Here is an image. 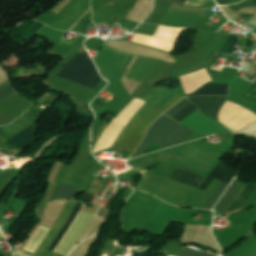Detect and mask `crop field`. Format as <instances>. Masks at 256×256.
I'll list each match as a JSON object with an SVG mask.
<instances>
[{"instance_id":"obj_16","label":"crop field","mask_w":256,"mask_h":256,"mask_svg":"<svg viewBox=\"0 0 256 256\" xmlns=\"http://www.w3.org/2000/svg\"><path fill=\"white\" fill-rule=\"evenodd\" d=\"M196 109L198 108L191 103L185 109H183L180 113H178L175 117H173V119L180 122L184 118H186L188 115H190L192 112H194Z\"/></svg>"},{"instance_id":"obj_14","label":"crop field","mask_w":256,"mask_h":256,"mask_svg":"<svg viewBox=\"0 0 256 256\" xmlns=\"http://www.w3.org/2000/svg\"><path fill=\"white\" fill-rule=\"evenodd\" d=\"M17 94L11 87L9 81L0 85V101Z\"/></svg>"},{"instance_id":"obj_8","label":"crop field","mask_w":256,"mask_h":256,"mask_svg":"<svg viewBox=\"0 0 256 256\" xmlns=\"http://www.w3.org/2000/svg\"><path fill=\"white\" fill-rule=\"evenodd\" d=\"M83 202H77L75 208L73 209L70 217L68 218L66 224L63 226V228L61 229V231L58 233V235L56 236V238L54 239V241L52 242V244L50 245V247L48 248V250L53 251L56 249V247L58 246V244L60 243L61 239L63 238V236L65 235V233L67 232V230L69 229V227L71 226V224L73 223L74 219L76 218V216L78 215V213L80 212V208L82 206Z\"/></svg>"},{"instance_id":"obj_20","label":"crop field","mask_w":256,"mask_h":256,"mask_svg":"<svg viewBox=\"0 0 256 256\" xmlns=\"http://www.w3.org/2000/svg\"><path fill=\"white\" fill-rule=\"evenodd\" d=\"M150 144V141H147L144 139V141L142 142V144L140 145L139 149L137 150V152L135 153L134 157L143 155V153L145 152L146 148L148 147V145Z\"/></svg>"},{"instance_id":"obj_15","label":"crop field","mask_w":256,"mask_h":256,"mask_svg":"<svg viewBox=\"0 0 256 256\" xmlns=\"http://www.w3.org/2000/svg\"><path fill=\"white\" fill-rule=\"evenodd\" d=\"M188 104H190V102L185 98L183 99L181 102H179L177 105H175L174 107H172L170 110H168L166 113V115H168L169 117H173L175 116L179 111H181L184 107H186Z\"/></svg>"},{"instance_id":"obj_23","label":"crop field","mask_w":256,"mask_h":256,"mask_svg":"<svg viewBox=\"0 0 256 256\" xmlns=\"http://www.w3.org/2000/svg\"><path fill=\"white\" fill-rule=\"evenodd\" d=\"M15 255L16 256H29V255H27V254H25L23 252H19V251H17Z\"/></svg>"},{"instance_id":"obj_5","label":"crop field","mask_w":256,"mask_h":256,"mask_svg":"<svg viewBox=\"0 0 256 256\" xmlns=\"http://www.w3.org/2000/svg\"><path fill=\"white\" fill-rule=\"evenodd\" d=\"M227 96H203L187 98L196 105L204 114L217 120V113Z\"/></svg>"},{"instance_id":"obj_19","label":"crop field","mask_w":256,"mask_h":256,"mask_svg":"<svg viewBox=\"0 0 256 256\" xmlns=\"http://www.w3.org/2000/svg\"><path fill=\"white\" fill-rule=\"evenodd\" d=\"M210 0H188L186 6L204 7L205 4Z\"/></svg>"},{"instance_id":"obj_7","label":"crop field","mask_w":256,"mask_h":256,"mask_svg":"<svg viewBox=\"0 0 256 256\" xmlns=\"http://www.w3.org/2000/svg\"><path fill=\"white\" fill-rule=\"evenodd\" d=\"M34 132H35V125L33 124L28 128H26L21 133H19L14 138L10 139L7 143L14 145L23 150L32 140Z\"/></svg>"},{"instance_id":"obj_6","label":"crop field","mask_w":256,"mask_h":256,"mask_svg":"<svg viewBox=\"0 0 256 256\" xmlns=\"http://www.w3.org/2000/svg\"><path fill=\"white\" fill-rule=\"evenodd\" d=\"M204 178L205 176L181 168H176L170 177V180L197 188Z\"/></svg>"},{"instance_id":"obj_18","label":"crop field","mask_w":256,"mask_h":256,"mask_svg":"<svg viewBox=\"0 0 256 256\" xmlns=\"http://www.w3.org/2000/svg\"><path fill=\"white\" fill-rule=\"evenodd\" d=\"M180 256H218V255L206 254V253L184 248Z\"/></svg>"},{"instance_id":"obj_12","label":"crop field","mask_w":256,"mask_h":256,"mask_svg":"<svg viewBox=\"0 0 256 256\" xmlns=\"http://www.w3.org/2000/svg\"><path fill=\"white\" fill-rule=\"evenodd\" d=\"M77 193H78V190H76L70 185L58 184L51 201L58 200V199H68V198L74 199Z\"/></svg>"},{"instance_id":"obj_22","label":"crop field","mask_w":256,"mask_h":256,"mask_svg":"<svg viewBox=\"0 0 256 256\" xmlns=\"http://www.w3.org/2000/svg\"><path fill=\"white\" fill-rule=\"evenodd\" d=\"M215 1L218 3V5H224V4H228L230 0H215Z\"/></svg>"},{"instance_id":"obj_11","label":"crop field","mask_w":256,"mask_h":256,"mask_svg":"<svg viewBox=\"0 0 256 256\" xmlns=\"http://www.w3.org/2000/svg\"><path fill=\"white\" fill-rule=\"evenodd\" d=\"M48 231L49 228L39 225L33 236L30 238V240L24 247V250L35 253V251L37 250L38 246L40 245Z\"/></svg>"},{"instance_id":"obj_1","label":"crop field","mask_w":256,"mask_h":256,"mask_svg":"<svg viewBox=\"0 0 256 256\" xmlns=\"http://www.w3.org/2000/svg\"><path fill=\"white\" fill-rule=\"evenodd\" d=\"M181 98H183V96L176 94L159 110L153 108L147 103L130 121L115 144V147L135 152L145 136L146 130L152 124V122Z\"/></svg>"},{"instance_id":"obj_4","label":"crop field","mask_w":256,"mask_h":256,"mask_svg":"<svg viewBox=\"0 0 256 256\" xmlns=\"http://www.w3.org/2000/svg\"><path fill=\"white\" fill-rule=\"evenodd\" d=\"M237 174L238 173L235 170L219 163L216 168L209 174V176L230 184ZM209 176H207V179L204 181V183L202 182L203 184L201 183L202 185L199 187V189L204 191L208 187L210 182L213 180V178ZM223 182H221L218 189L206 203V205L204 206L205 209L211 210L215 206L219 198L222 196V194L225 192V190L228 188L229 185Z\"/></svg>"},{"instance_id":"obj_10","label":"crop field","mask_w":256,"mask_h":256,"mask_svg":"<svg viewBox=\"0 0 256 256\" xmlns=\"http://www.w3.org/2000/svg\"><path fill=\"white\" fill-rule=\"evenodd\" d=\"M239 189H240L239 186L234 180L233 183L226 190V192L224 193V195L222 196L218 204L215 206V209H218L220 211H223L224 209L227 210L229 204L232 202L235 195L238 193Z\"/></svg>"},{"instance_id":"obj_24","label":"crop field","mask_w":256,"mask_h":256,"mask_svg":"<svg viewBox=\"0 0 256 256\" xmlns=\"http://www.w3.org/2000/svg\"><path fill=\"white\" fill-rule=\"evenodd\" d=\"M123 129H124V127H123ZM123 129H122V130H123ZM122 130L120 131V133L122 132ZM120 133L118 134V136L120 135ZM118 136L115 138V140H114L113 143L110 145V147L113 146V144H114L115 141L117 140Z\"/></svg>"},{"instance_id":"obj_17","label":"crop field","mask_w":256,"mask_h":256,"mask_svg":"<svg viewBox=\"0 0 256 256\" xmlns=\"http://www.w3.org/2000/svg\"><path fill=\"white\" fill-rule=\"evenodd\" d=\"M235 39H236V35H229L221 53L230 54L234 46Z\"/></svg>"},{"instance_id":"obj_2","label":"crop field","mask_w":256,"mask_h":256,"mask_svg":"<svg viewBox=\"0 0 256 256\" xmlns=\"http://www.w3.org/2000/svg\"><path fill=\"white\" fill-rule=\"evenodd\" d=\"M57 76L68 78L93 89L102 79L90 57L81 53L71 58L57 73Z\"/></svg>"},{"instance_id":"obj_3","label":"crop field","mask_w":256,"mask_h":256,"mask_svg":"<svg viewBox=\"0 0 256 256\" xmlns=\"http://www.w3.org/2000/svg\"><path fill=\"white\" fill-rule=\"evenodd\" d=\"M192 131L162 115L148 130V135L145 138L166 148L184 142Z\"/></svg>"},{"instance_id":"obj_13","label":"crop field","mask_w":256,"mask_h":256,"mask_svg":"<svg viewBox=\"0 0 256 256\" xmlns=\"http://www.w3.org/2000/svg\"><path fill=\"white\" fill-rule=\"evenodd\" d=\"M228 86H204L192 95V96H201V95H227Z\"/></svg>"},{"instance_id":"obj_21","label":"crop field","mask_w":256,"mask_h":256,"mask_svg":"<svg viewBox=\"0 0 256 256\" xmlns=\"http://www.w3.org/2000/svg\"><path fill=\"white\" fill-rule=\"evenodd\" d=\"M167 1L183 5L187 0H167Z\"/></svg>"},{"instance_id":"obj_9","label":"crop field","mask_w":256,"mask_h":256,"mask_svg":"<svg viewBox=\"0 0 256 256\" xmlns=\"http://www.w3.org/2000/svg\"><path fill=\"white\" fill-rule=\"evenodd\" d=\"M255 189H256V183H248L246 187L242 190L240 195L237 197V199L234 201V203L231 205V207L228 209L227 212L231 213L241 208L244 205V203L249 199V197L251 196V194L254 192Z\"/></svg>"}]
</instances>
